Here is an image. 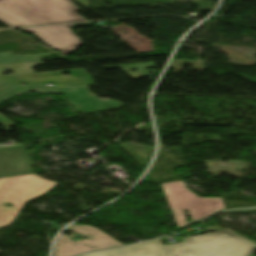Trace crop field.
Segmentation results:
<instances>
[{
	"mask_svg": "<svg viewBox=\"0 0 256 256\" xmlns=\"http://www.w3.org/2000/svg\"><path fill=\"white\" fill-rule=\"evenodd\" d=\"M83 256H165L161 240H154L125 248L85 254ZM186 256H194L193 252Z\"/></svg>",
	"mask_w": 256,
	"mask_h": 256,
	"instance_id": "9",
	"label": "crop field"
},
{
	"mask_svg": "<svg viewBox=\"0 0 256 256\" xmlns=\"http://www.w3.org/2000/svg\"><path fill=\"white\" fill-rule=\"evenodd\" d=\"M82 256V255H81Z\"/></svg>",
	"mask_w": 256,
	"mask_h": 256,
	"instance_id": "16",
	"label": "crop field"
},
{
	"mask_svg": "<svg viewBox=\"0 0 256 256\" xmlns=\"http://www.w3.org/2000/svg\"><path fill=\"white\" fill-rule=\"evenodd\" d=\"M188 242L164 246L168 256H246L256 244L228 231H219L187 238Z\"/></svg>",
	"mask_w": 256,
	"mask_h": 256,
	"instance_id": "2",
	"label": "crop field"
},
{
	"mask_svg": "<svg viewBox=\"0 0 256 256\" xmlns=\"http://www.w3.org/2000/svg\"><path fill=\"white\" fill-rule=\"evenodd\" d=\"M26 92H39V93H54L61 94L59 88L54 87H42V86H31V87H19L13 89L0 97V104L7 101L8 99L26 93ZM0 123L6 127L15 126L14 123L0 115Z\"/></svg>",
	"mask_w": 256,
	"mask_h": 256,
	"instance_id": "10",
	"label": "crop field"
},
{
	"mask_svg": "<svg viewBox=\"0 0 256 256\" xmlns=\"http://www.w3.org/2000/svg\"><path fill=\"white\" fill-rule=\"evenodd\" d=\"M18 85L13 76L0 77V94Z\"/></svg>",
	"mask_w": 256,
	"mask_h": 256,
	"instance_id": "14",
	"label": "crop field"
},
{
	"mask_svg": "<svg viewBox=\"0 0 256 256\" xmlns=\"http://www.w3.org/2000/svg\"><path fill=\"white\" fill-rule=\"evenodd\" d=\"M23 145L0 148V177L33 173Z\"/></svg>",
	"mask_w": 256,
	"mask_h": 256,
	"instance_id": "8",
	"label": "crop field"
},
{
	"mask_svg": "<svg viewBox=\"0 0 256 256\" xmlns=\"http://www.w3.org/2000/svg\"><path fill=\"white\" fill-rule=\"evenodd\" d=\"M21 30L31 32L50 48L65 56L84 45L66 25L21 28Z\"/></svg>",
	"mask_w": 256,
	"mask_h": 256,
	"instance_id": "6",
	"label": "crop field"
},
{
	"mask_svg": "<svg viewBox=\"0 0 256 256\" xmlns=\"http://www.w3.org/2000/svg\"><path fill=\"white\" fill-rule=\"evenodd\" d=\"M57 184L35 174L0 178V229L11 225L25 202L47 192ZM4 203L13 206L4 207Z\"/></svg>",
	"mask_w": 256,
	"mask_h": 256,
	"instance_id": "3",
	"label": "crop field"
},
{
	"mask_svg": "<svg viewBox=\"0 0 256 256\" xmlns=\"http://www.w3.org/2000/svg\"><path fill=\"white\" fill-rule=\"evenodd\" d=\"M36 64H43V63L41 61H37V62H28V63H19V64L0 65V76H7V75H1V73L4 72L5 70L12 71L13 74L11 75L31 73L33 72L31 67Z\"/></svg>",
	"mask_w": 256,
	"mask_h": 256,
	"instance_id": "12",
	"label": "crop field"
},
{
	"mask_svg": "<svg viewBox=\"0 0 256 256\" xmlns=\"http://www.w3.org/2000/svg\"><path fill=\"white\" fill-rule=\"evenodd\" d=\"M9 1V0H0V2Z\"/></svg>",
	"mask_w": 256,
	"mask_h": 256,
	"instance_id": "15",
	"label": "crop field"
},
{
	"mask_svg": "<svg viewBox=\"0 0 256 256\" xmlns=\"http://www.w3.org/2000/svg\"><path fill=\"white\" fill-rule=\"evenodd\" d=\"M50 53L14 56L11 52L0 53V64L18 63L41 60L42 56Z\"/></svg>",
	"mask_w": 256,
	"mask_h": 256,
	"instance_id": "11",
	"label": "crop field"
},
{
	"mask_svg": "<svg viewBox=\"0 0 256 256\" xmlns=\"http://www.w3.org/2000/svg\"><path fill=\"white\" fill-rule=\"evenodd\" d=\"M67 230L79 233L87 239L73 242L71 239L61 233L55 244V256H74L86 251L122 246V244L116 242L104 232L91 226L73 225Z\"/></svg>",
	"mask_w": 256,
	"mask_h": 256,
	"instance_id": "5",
	"label": "crop field"
},
{
	"mask_svg": "<svg viewBox=\"0 0 256 256\" xmlns=\"http://www.w3.org/2000/svg\"><path fill=\"white\" fill-rule=\"evenodd\" d=\"M60 90L79 113L91 114L123 107L117 101L98 99L96 95L89 92L87 87L60 88Z\"/></svg>",
	"mask_w": 256,
	"mask_h": 256,
	"instance_id": "7",
	"label": "crop field"
},
{
	"mask_svg": "<svg viewBox=\"0 0 256 256\" xmlns=\"http://www.w3.org/2000/svg\"><path fill=\"white\" fill-rule=\"evenodd\" d=\"M122 66H124L125 68H122ZM122 66H109V67H104V68L120 67L128 75H130L133 79H138L142 76H146L147 67L154 66V64L153 63H147V64H134V65H122ZM132 69H138V72L134 73L132 71Z\"/></svg>",
	"mask_w": 256,
	"mask_h": 256,
	"instance_id": "13",
	"label": "crop field"
},
{
	"mask_svg": "<svg viewBox=\"0 0 256 256\" xmlns=\"http://www.w3.org/2000/svg\"><path fill=\"white\" fill-rule=\"evenodd\" d=\"M70 0H15L0 3V21L10 27L86 21Z\"/></svg>",
	"mask_w": 256,
	"mask_h": 256,
	"instance_id": "1",
	"label": "crop field"
},
{
	"mask_svg": "<svg viewBox=\"0 0 256 256\" xmlns=\"http://www.w3.org/2000/svg\"><path fill=\"white\" fill-rule=\"evenodd\" d=\"M161 186L179 228L187 224L183 210H189L194 222L225 209L222 198H200L187 190L183 181Z\"/></svg>",
	"mask_w": 256,
	"mask_h": 256,
	"instance_id": "4",
	"label": "crop field"
}]
</instances>
